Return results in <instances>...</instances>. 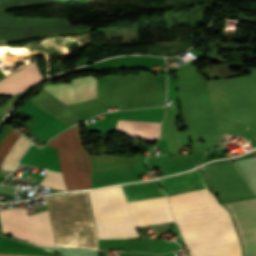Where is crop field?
Returning <instances> with one entry per match:
<instances>
[{"mask_svg": "<svg viewBox=\"0 0 256 256\" xmlns=\"http://www.w3.org/2000/svg\"><path fill=\"white\" fill-rule=\"evenodd\" d=\"M200 192L208 208L174 215L185 246L193 256H241L227 210L217 203L208 188ZM223 205L237 226L243 256H256V198Z\"/></svg>", "mask_w": 256, "mask_h": 256, "instance_id": "crop-field-1", "label": "crop field"}, {"mask_svg": "<svg viewBox=\"0 0 256 256\" xmlns=\"http://www.w3.org/2000/svg\"><path fill=\"white\" fill-rule=\"evenodd\" d=\"M88 193L99 239L139 237L135 227L173 220L166 197L126 203L120 186Z\"/></svg>", "mask_w": 256, "mask_h": 256, "instance_id": "crop-field-2", "label": "crop field"}, {"mask_svg": "<svg viewBox=\"0 0 256 256\" xmlns=\"http://www.w3.org/2000/svg\"><path fill=\"white\" fill-rule=\"evenodd\" d=\"M56 245L98 248L87 193L46 199Z\"/></svg>", "mask_w": 256, "mask_h": 256, "instance_id": "crop-field-3", "label": "crop field"}, {"mask_svg": "<svg viewBox=\"0 0 256 256\" xmlns=\"http://www.w3.org/2000/svg\"><path fill=\"white\" fill-rule=\"evenodd\" d=\"M58 151L67 190L91 188L90 155L84 149L78 125L47 144Z\"/></svg>", "mask_w": 256, "mask_h": 256, "instance_id": "crop-field-4", "label": "crop field"}, {"mask_svg": "<svg viewBox=\"0 0 256 256\" xmlns=\"http://www.w3.org/2000/svg\"><path fill=\"white\" fill-rule=\"evenodd\" d=\"M66 105L96 98V78L73 79L71 84L43 87Z\"/></svg>", "mask_w": 256, "mask_h": 256, "instance_id": "crop-field-5", "label": "crop field"}, {"mask_svg": "<svg viewBox=\"0 0 256 256\" xmlns=\"http://www.w3.org/2000/svg\"><path fill=\"white\" fill-rule=\"evenodd\" d=\"M0 220L4 234L32 242L26 209L1 211Z\"/></svg>", "mask_w": 256, "mask_h": 256, "instance_id": "crop-field-6", "label": "crop field"}, {"mask_svg": "<svg viewBox=\"0 0 256 256\" xmlns=\"http://www.w3.org/2000/svg\"><path fill=\"white\" fill-rule=\"evenodd\" d=\"M84 26H50V27H0V40H14L37 35L59 34L89 30Z\"/></svg>", "mask_w": 256, "mask_h": 256, "instance_id": "crop-field-7", "label": "crop field"}, {"mask_svg": "<svg viewBox=\"0 0 256 256\" xmlns=\"http://www.w3.org/2000/svg\"><path fill=\"white\" fill-rule=\"evenodd\" d=\"M41 79L35 64L31 63L0 80V93L8 95L24 91Z\"/></svg>", "mask_w": 256, "mask_h": 256, "instance_id": "crop-field-8", "label": "crop field"}, {"mask_svg": "<svg viewBox=\"0 0 256 256\" xmlns=\"http://www.w3.org/2000/svg\"><path fill=\"white\" fill-rule=\"evenodd\" d=\"M29 101L33 102L70 126L84 120L81 116L44 89Z\"/></svg>", "mask_w": 256, "mask_h": 256, "instance_id": "crop-field-9", "label": "crop field"}, {"mask_svg": "<svg viewBox=\"0 0 256 256\" xmlns=\"http://www.w3.org/2000/svg\"><path fill=\"white\" fill-rule=\"evenodd\" d=\"M22 137L23 136L19 134L16 130L11 129V131L8 133L5 139L1 142L0 170L2 169L8 155L15 148V146L18 144V142L21 140ZM29 144H30V141L23 137L20 143L17 145V147L9 155L3 170L13 172L19 157L21 156V154L24 152V150L27 148Z\"/></svg>", "mask_w": 256, "mask_h": 256, "instance_id": "crop-field-10", "label": "crop field"}, {"mask_svg": "<svg viewBox=\"0 0 256 256\" xmlns=\"http://www.w3.org/2000/svg\"><path fill=\"white\" fill-rule=\"evenodd\" d=\"M167 196L207 187L199 169L159 180Z\"/></svg>", "mask_w": 256, "mask_h": 256, "instance_id": "crop-field-11", "label": "crop field"}, {"mask_svg": "<svg viewBox=\"0 0 256 256\" xmlns=\"http://www.w3.org/2000/svg\"><path fill=\"white\" fill-rule=\"evenodd\" d=\"M28 217L34 244L55 246L47 211L29 215Z\"/></svg>", "mask_w": 256, "mask_h": 256, "instance_id": "crop-field-12", "label": "crop field"}, {"mask_svg": "<svg viewBox=\"0 0 256 256\" xmlns=\"http://www.w3.org/2000/svg\"><path fill=\"white\" fill-rule=\"evenodd\" d=\"M159 124L160 123L119 120L116 131L146 140H153L158 138Z\"/></svg>", "mask_w": 256, "mask_h": 256, "instance_id": "crop-field-13", "label": "crop field"}, {"mask_svg": "<svg viewBox=\"0 0 256 256\" xmlns=\"http://www.w3.org/2000/svg\"><path fill=\"white\" fill-rule=\"evenodd\" d=\"M121 187L127 202L165 196V194L157 187L156 181L123 185Z\"/></svg>", "mask_w": 256, "mask_h": 256, "instance_id": "crop-field-14", "label": "crop field"}, {"mask_svg": "<svg viewBox=\"0 0 256 256\" xmlns=\"http://www.w3.org/2000/svg\"><path fill=\"white\" fill-rule=\"evenodd\" d=\"M169 199L173 214L206 207L198 190L170 196Z\"/></svg>", "mask_w": 256, "mask_h": 256, "instance_id": "crop-field-15", "label": "crop field"}, {"mask_svg": "<svg viewBox=\"0 0 256 256\" xmlns=\"http://www.w3.org/2000/svg\"><path fill=\"white\" fill-rule=\"evenodd\" d=\"M44 25H69L68 20L62 19H30L16 18L0 11V26H44Z\"/></svg>", "mask_w": 256, "mask_h": 256, "instance_id": "crop-field-16", "label": "crop field"}, {"mask_svg": "<svg viewBox=\"0 0 256 256\" xmlns=\"http://www.w3.org/2000/svg\"><path fill=\"white\" fill-rule=\"evenodd\" d=\"M40 185L66 191L62 174L51 170L48 171L47 175L45 176L43 182Z\"/></svg>", "mask_w": 256, "mask_h": 256, "instance_id": "crop-field-17", "label": "crop field"}, {"mask_svg": "<svg viewBox=\"0 0 256 256\" xmlns=\"http://www.w3.org/2000/svg\"><path fill=\"white\" fill-rule=\"evenodd\" d=\"M0 256H30V255H15V254H1Z\"/></svg>", "mask_w": 256, "mask_h": 256, "instance_id": "crop-field-18", "label": "crop field"}]
</instances>
